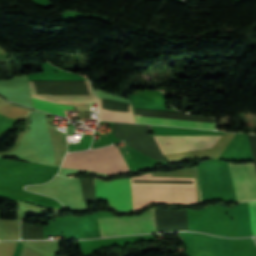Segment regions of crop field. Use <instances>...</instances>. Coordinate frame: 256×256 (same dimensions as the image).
<instances>
[{"mask_svg":"<svg viewBox=\"0 0 256 256\" xmlns=\"http://www.w3.org/2000/svg\"><path fill=\"white\" fill-rule=\"evenodd\" d=\"M61 167L89 169L107 174L120 173L129 170L115 145L68 153L65 156Z\"/></svg>","mask_w":256,"mask_h":256,"instance_id":"obj_1","label":"crop field"},{"mask_svg":"<svg viewBox=\"0 0 256 256\" xmlns=\"http://www.w3.org/2000/svg\"><path fill=\"white\" fill-rule=\"evenodd\" d=\"M100 235L113 236L156 232L154 208L140 216L98 218Z\"/></svg>","mask_w":256,"mask_h":256,"instance_id":"obj_2","label":"crop field"},{"mask_svg":"<svg viewBox=\"0 0 256 256\" xmlns=\"http://www.w3.org/2000/svg\"><path fill=\"white\" fill-rule=\"evenodd\" d=\"M134 211L151 202L196 203L195 188H132Z\"/></svg>","mask_w":256,"mask_h":256,"instance_id":"obj_3","label":"crop field"},{"mask_svg":"<svg viewBox=\"0 0 256 256\" xmlns=\"http://www.w3.org/2000/svg\"><path fill=\"white\" fill-rule=\"evenodd\" d=\"M97 199L109 200L119 212L133 210L130 194V178L102 182L94 179Z\"/></svg>","mask_w":256,"mask_h":256,"instance_id":"obj_4","label":"crop field"},{"mask_svg":"<svg viewBox=\"0 0 256 256\" xmlns=\"http://www.w3.org/2000/svg\"><path fill=\"white\" fill-rule=\"evenodd\" d=\"M237 201L256 200L254 164L228 163Z\"/></svg>","mask_w":256,"mask_h":256,"instance_id":"obj_5","label":"crop field"},{"mask_svg":"<svg viewBox=\"0 0 256 256\" xmlns=\"http://www.w3.org/2000/svg\"><path fill=\"white\" fill-rule=\"evenodd\" d=\"M220 136L154 137L163 154L211 148Z\"/></svg>","mask_w":256,"mask_h":256,"instance_id":"obj_6","label":"crop field"},{"mask_svg":"<svg viewBox=\"0 0 256 256\" xmlns=\"http://www.w3.org/2000/svg\"><path fill=\"white\" fill-rule=\"evenodd\" d=\"M236 210L241 236L253 234L256 235V202H249L250 220L253 234L249 221L248 202L239 203V205L236 206Z\"/></svg>","mask_w":256,"mask_h":256,"instance_id":"obj_7","label":"crop field"},{"mask_svg":"<svg viewBox=\"0 0 256 256\" xmlns=\"http://www.w3.org/2000/svg\"><path fill=\"white\" fill-rule=\"evenodd\" d=\"M136 123L215 129V123L135 116Z\"/></svg>","mask_w":256,"mask_h":256,"instance_id":"obj_8","label":"crop field"},{"mask_svg":"<svg viewBox=\"0 0 256 256\" xmlns=\"http://www.w3.org/2000/svg\"><path fill=\"white\" fill-rule=\"evenodd\" d=\"M32 100H33V106L35 109H39V110H43V111H47V112H51V113H55L63 116H65V113L63 111L64 109H73V106H70V105L50 103V102H46V101H42L34 98H32Z\"/></svg>","mask_w":256,"mask_h":256,"instance_id":"obj_9","label":"crop field"},{"mask_svg":"<svg viewBox=\"0 0 256 256\" xmlns=\"http://www.w3.org/2000/svg\"><path fill=\"white\" fill-rule=\"evenodd\" d=\"M21 246H22L21 242L17 241L15 252H14L13 256H19L20 251H21Z\"/></svg>","mask_w":256,"mask_h":256,"instance_id":"obj_10","label":"crop field"}]
</instances>
